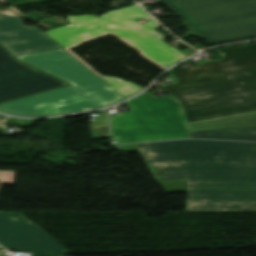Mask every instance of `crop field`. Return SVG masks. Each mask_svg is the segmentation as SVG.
I'll use <instances>...</instances> for the list:
<instances>
[{"instance_id": "8a807250", "label": "crop field", "mask_w": 256, "mask_h": 256, "mask_svg": "<svg viewBox=\"0 0 256 256\" xmlns=\"http://www.w3.org/2000/svg\"><path fill=\"white\" fill-rule=\"evenodd\" d=\"M138 151L167 192L188 191L186 210H256V143L180 140L122 146Z\"/></svg>"}, {"instance_id": "ac0d7876", "label": "crop field", "mask_w": 256, "mask_h": 256, "mask_svg": "<svg viewBox=\"0 0 256 256\" xmlns=\"http://www.w3.org/2000/svg\"><path fill=\"white\" fill-rule=\"evenodd\" d=\"M223 58L172 69L164 87L184 108L191 131L256 125V44L215 50Z\"/></svg>"}, {"instance_id": "34b2d1b8", "label": "crop field", "mask_w": 256, "mask_h": 256, "mask_svg": "<svg viewBox=\"0 0 256 256\" xmlns=\"http://www.w3.org/2000/svg\"><path fill=\"white\" fill-rule=\"evenodd\" d=\"M150 17L140 7L134 5L107 12L98 18L95 15L67 16L70 24L45 31V33L91 70L93 69L92 67L69 49L79 46L82 42L98 39L110 34L137 49L141 56L162 69H166L176 61L187 57L160 40L164 37L154 30L160 25L153 19L143 24L134 21L135 19ZM93 72L126 99L143 89L130 82L102 76L95 71Z\"/></svg>"}, {"instance_id": "412701ff", "label": "crop field", "mask_w": 256, "mask_h": 256, "mask_svg": "<svg viewBox=\"0 0 256 256\" xmlns=\"http://www.w3.org/2000/svg\"><path fill=\"white\" fill-rule=\"evenodd\" d=\"M71 86L0 105V112L40 117L107 107L125 100L63 48L17 56Z\"/></svg>"}, {"instance_id": "f4fd0767", "label": "crop field", "mask_w": 256, "mask_h": 256, "mask_svg": "<svg viewBox=\"0 0 256 256\" xmlns=\"http://www.w3.org/2000/svg\"><path fill=\"white\" fill-rule=\"evenodd\" d=\"M125 104L131 111L109 115L116 142L189 138L182 105L172 96L157 98L147 91Z\"/></svg>"}, {"instance_id": "dd49c442", "label": "crop field", "mask_w": 256, "mask_h": 256, "mask_svg": "<svg viewBox=\"0 0 256 256\" xmlns=\"http://www.w3.org/2000/svg\"><path fill=\"white\" fill-rule=\"evenodd\" d=\"M207 43L256 36V0H161Z\"/></svg>"}, {"instance_id": "e52e79f7", "label": "crop field", "mask_w": 256, "mask_h": 256, "mask_svg": "<svg viewBox=\"0 0 256 256\" xmlns=\"http://www.w3.org/2000/svg\"><path fill=\"white\" fill-rule=\"evenodd\" d=\"M67 85L17 60L0 46V103Z\"/></svg>"}, {"instance_id": "d8731c3e", "label": "crop field", "mask_w": 256, "mask_h": 256, "mask_svg": "<svg viewBox=\"0 0 256 256\" xmlns=\"http://www.w3.org/2000/svg\"><path fill=\"white\" fill-rule=\"evenodd\" d=\"M0 244L7 249L69 254L64 247L19 213H0Z\"/></svg>"}, {"instance_id": "5a996713", "label": "crop field", "mask_w": 256, "mask_h": 256, "mask_svg": "<svg viewBox=\"0 0 256 256\" xmlns=\"http://www.w3.org/2000/svg\"><path fill=\"white\" fill-rule=\"evenodd\" d=\"M0 43L14 56L60 48L35 26H26L21 18L0 14Z\"/></svg>"}, {"instance_id": "3316defc", "label": "crop field", "mask_w": 256, "mask_h": 256, "mask_svg": "<svg viewBox=\"0 0 256 256\" xmlns=\"http://www.w3.org/2000/svg\"><path fill=\"white\" fill-rule=\"evenodd\" d=\"M190 138L256 141V126L195 131Z\"/></svg>"}, {"instance_id": "28ad6ade", "label": "crop field", "mask_w": 256, "mask_h": 256, "mask_svg": "<svg viewBox=\"0 0 256 256\" xmlns=\"http://www.w3.org/2000/svg\"><path fill=\"white\" fill-rule=\"evenodd\" d=\"M16 172L0 171V186L1 183L13 184Z\"/></svg>"}, {"instance_id": "d1516ede", "label": "crop field", "mask_w": 256, "mask_h": 256, "mask_svg": "<svg viewBox=\"0 0 256 256\" xmlns=\"http://www.w3.org/2000/svg\"><path fill=\"white\" fill-rule=\"evenodd\" d=\"M0 13L11 15V16H16V17L27 18L23 14H21L17 9H15L13 6L1 8Z\"/></svg>"}, {"instance_id": "22f410ed", "label": "crop field", "mask_w": 256, "mask_h": 256, "mask_svg": "<svg viewBox=\"0 0 256 256\" xmlns=\"http://www.w3.org/2000/svg\"><path fill=\"white\" fill-rule=\"evenodd\" d=\"M186 212H256V211H186Z\"/></svg>"}, {"instance_id": "cbeb9de0", "label": "crop field", "mask_w": 256, "mask_h": 256, "mask_svg": "<svg viewBox=\"0 0 256 256\" xmlns=\"http://www.w3.org/2000/svg\"><path fill=\"white\" fill-rule=\"evenodd\" d=\"M32 256H56V255L33 253ZM59 256H62V255H59Z\"/></svg>"}, {"instance_id": "5142ce71", "label": "crop field", "mask_w": 256, "mask_h": 256, "mask_svg": "<svg viewBox=\"0 0 256 256\" xmlns=\"http://www.w3.org/2000/svg\"><path fill=\"white\" fill-rule=\"evenodd\" d=\"M0 249H2V248L0 247ZM0 256H7V255L5 254V252H1Z\"/></svg>"}, {"instance_id": "d9b57169", "label": "crop field", "mask_w": 256, "mask_h": 256, "mask_svg": "<svg viewBox=\"0 0 256 256\" xmlns=\"http://www.w3.org/2000/svg\"><path fill=\"white\" fill-rule=\"evenodd\" d=\"M3 119H5V117H4V116H0V122H1Z\"/></svg>"}]
</instances>
